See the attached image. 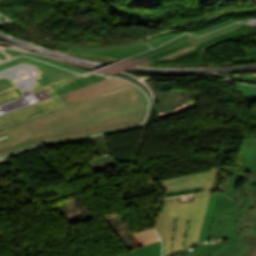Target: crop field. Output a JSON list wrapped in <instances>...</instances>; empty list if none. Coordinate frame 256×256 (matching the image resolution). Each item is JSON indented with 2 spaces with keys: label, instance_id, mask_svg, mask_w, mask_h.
I'll return each mask as SVG.
<instances>
[{
  "label": "crop field",
  "instance_id": "8a807250",
  "mask_svg": "<svg viewBox=\"0 0 256 256\" xmlns=\"http://www.w3.org/2000/svg\"><path fill=\"white\" fill-rule=\"evenodd\" d=\"M256 218V175L238 189V200L230 201L222 195L211 236L218 242L207 244L197 256H256V235L253 226Z\"/></svg>",
  "mask_w": 256,
  "mask_h": 256
},
{
  "label": "crop field",
  "instance_id": "ac0d7876",
  "mask_svg": "<svg viewBox=\"0 0 256 256\" xmlns=\"http://www.w3.org/2000/svg\"><path fill=\"white\" fill-rule=\"evenodd\" d=\"M209 194H194V202L186 203H179L180 196L164 199L155 229L165 239V256L197 243Z\"/></svg>",
  "mask_w": 256,
  "mask_h": 256
},
{
  "label": "crop field",
  "instance_id": "34b2d1b8",
  "mask_svg": "<svg viewBox=\"0 0 256 256\" xmlns=\"http://www.w3.org/2000/svg\"><path fill=\"white\" fill-rule=\"evenodd\" d=\"M240 165L241 168L233 167L232 176L224 192L232 200L236 198L235 187L239 171H253V174L256 173V134L249 138H243L240 151Z\"/></svg>",
  "mask_w": 256,
  "mask_h": 256
},
{
  "label": "crop field",
  "instance_id": "412701ff",
  "mask_svg": "<svg viewBox=\"0 0 256 256\" xmlns=\"http://www.w3.org/2000/svg\"><path fill=\"white\" fill-rule=\"evenodd\" d=\"M217 168L211 171L203 172L196 175L161 181L160 183L166 189V192L183 190L198 186H204L203 192L211 191L215 172Z\"/></svg>",
  "mask_w": 256,
  "mask_h": 256
},
{
  "label": "crop field",
  "instance_id": "f4fd0767",
  "mask_svg": "<svg viewBox=\"0 0 256 256\" xmlns=\"http://www.w3.org/2000/svg\"><path fill=\"white\" fill-rule=\"evenodd\" d=\"M221 195L222 194H214V193L210 194V201H209L206 217L204 220L203 228H202L198 243L207 241L209 227H210V224H211L213 218H215V216L218 212Z\"/></svg>",
  "mask_w": 256,
  "mask_h": 256
},
{
  "label": "crop field",
  "instance_id": "dd49c442",
  "mask_svg": "<svg viewBox=\"0 0 256 256\" xmlns=\"http://www.w3.org/2000/svg\"><path fill=\"white\" fill-rule=\"evenodd\" d=\"M122 256H161V241L124 254Z\"/></svg>",
  "mask_w": 256,
  "mask_h": 256
},
{
  "label": "crop field",
  "instance_id": "e52e79f7",
  "mask_svg": "<svg viewBox=\"0 0 256 256\" xmlns=\"http://www.w3.org/2000/svg\"><path fill=\"white\" fill-rule=\"evenodd\" d=\"M133 234L142 245L159 240L152 228L138 231Z\"/></svg>",
  "mask_w": 256,
  "mask_h": 256
},
{
  "label": "crop field",
  "instance_id": "d8731c3e",
  "mask_svg": "<svg viewBox=\"0 0 256 256\" xmlns=\"http://www.w3.org/2000/svg\"><path fill=\"white\" fill-rule=\"evenodd\" d=\"M237 86L240 89L241 93L244 95V97L252 102H256V86L245 84H237Z\"/></svg>",
  "mask_w": 256,
  "mask_h": 256
},
{
  "label": "crop field",
  "instance_id": "5a996713",
  "mask_svg": "<svg viewBox=\"0 0 256 256\" xmlns=\"http://www.w3.org/2000/svg\"><path fill=\"white\" fill-rule=\"evenodd\" d=\"M243 54H247L248 57L243 58H235L233 62L241 61V60H253L256 59V48H246Z\"/></svg>",
  "mask_w": 256,
  "mask_h": 256
},
{
  "label": "crop field",
  "instance_id": "3316defc",
  "mask_svg": "<svg viewBox=\"0 0 256 256\" xmlns=\"http://www.w3.org/2000/svg\"><path fill=\"white\" fill-rule=\"evenodd\" d=\"M232 80L241 83L255 84L256 85V77H232Z\"/></svg>",
  "mask_w": 256,
  "mask_h": 256
},
{
  "label": "crop field",
  "instance_id": "28ad6ade",
  "mask_svg": "<svg viewBox=\"0 0 256 256\" xmlns=\"http://www.w3.org/2000/svg\"><path fill=\"white\" fill-rule=\"evenodd\" d=\"M206 244H201L198 248H196L195 250L189 252L191 253L192 255L190 256H195L197 255L198 253H200L204 248H205Z\"/></svg>",
  "mask_w": 256,
  "mask_h": 256
},
{
  "label": "crop field",
  "instance_id": "d1516ede",
  "mask_svg": "<svg viewBox=\"0 0 256 256\" xmlns=\"http://www.w3.org/2000/svg\"><path fill=\"white\" fill-rule=\"evenodd\" d=\"M203 187H198V188H193V189H188V190H183V191H177V192H184V191H191V190H199L202 189ZM171 193H176V192H171ZM165 194H170V193H165Z\"/></svg>",
  "mask_w": 256,
  "mask_h": 256
},
{
  "label": "crop field",
  "instance_id": "22f410ed",
  "mask_svg": "<svg viewBox=\"0 0 256 256\" xmlns=\"http://www.w3.org/2000/svg\"><path fill=\"white\" fill-rule=\"evenodd\" d=\"M199 1V3H201V2H205V1H208V0H198Z\"/></svg>",
  "mask_w": 256,
  "mask_h": 256
},
{
  "label": "crop field",
  "instance_id": "cbeb9de0",
  "mask_svg": "<svg viewBox=\"0 0 256 256\" xmlns=\"http://www.w3.org/2000/svg\"><path fill=\"white\" fill-rule=\"evenodd\" d=\"M213 222H214V220H213ZM213 222H212V224H211V228H212ZM211 228H210V232H211ZM210 232H209V234H210Z\"/></svg>",
  "mask_w": 256,
  "mask_h": 256
},
{
  "label": "crop field",
  "instance_id": "5142ce71",
  "mask_svg": "<svg viewBox=\"0 0 256 256\" xmlns=\"http://www.w3.org/2000/svg\"><path fill=\"white\" fill-rule=\"evenodd\" d=\"M254 231H255V233H256V224H255V226H254Z\"/></svg>",
  "mask_w": 256,
  "mask_h": 256
}]
</instances>
